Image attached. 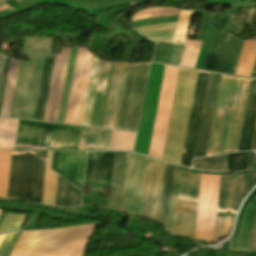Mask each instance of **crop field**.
<instances>
[{"mask_svg": "<svg viewBox=\"0 0 256 256\" xmlns=\"http://www.w3.org/2000/svg\"><path fill=\"white\" fill-rule=\"evenodd\" d=\"M250 81L222 75L206 156L237 151Z\"/></svg>", "mask_w": 256, "mask_h": 256, "instance_id": "crop-field-1", "label": "crop field"}, {"mask_svg": "<svg viewBox=\"0 0 256 256\" xmlns=\"http://www.w3.org/2000/svg\"><path fill=\"white\" fill-rule=\"evenodd\" d=\"M18 120L0 118V149H13ZM80 127L19 120L14 149L75 150ZM33 149H43L34 145Z\"/></svg>", "mask_w": 256, "mask_h": 256, "instance_id": "crop-field-2", "label": "crop field"}, {"mask_svg": "<svg viewBox=\"0 0 256 256\" xmlns=\"http://www.w3.org/2000/svg\"><path fill=\"white\" fill-rule=\"evenodd\" d=\"M197 73L195 70H179L163 160L181 162Z\"/></svg>", "mask_w": 256, "mask_h": 256, "instance_id": "crop-field-3", "label": "crop field"}, {"mask_svg": "<svg viewBox=\"0 0 256 256\" xmlns=\"http://www.w3.org/2000/svg\"><path fill=\"white\" fill-rule=\"evenodd\" d=\"M46 152L12 151L7 198L41 204Z\"/></svg>", "mask_w": 256, "mask_h": 256, "instance_id": "crop-field-4", "label": "crop field"}, {"mask_svg": "<svg viewBox=\"0 0 256 256\" xmlns=\"http://www.w3.org/2000/svg\"><path fill=\"white\" fill-rule=\"evenodd\" d=\"M96 225L36 231L25 256H84Z\"/></svg>", "mask_w": 256, "mask_h": 256, "instance_id": "crop-field-5", "label": "crop field"}, {"mask_svg": "<svg viewBox=\"0 0 256 256\" xmlns=\"http://www.w3.org/2000/svg\"><path fill=\"white\" fill-rule=\"evenodd\" d=\"M200 175L175 171L170 225L171 233L193 238Z\"/></svg>", "mask_w": 256, "mask_h": 256, "instance_id": "crop-field-6", "label": "crop field"}, {"mask_svg": "<svg viewBox=\"0 0 256 256\" xmlns=\"http://www.w3.org/2000/svg\"><path fill=\"white\" fill-rule=\"evenodd\" d=\"M230 18L224 16L216 17L202 70L235 73L244 41L225 32Z\"/></svg>", "mask_w": 256, "mask_h": 256, "instance_id": "crop-field-7", "label": "crop field"}, {"mask_svg": "<svg viewBox=\"0 0 256 256\" xmlns=\"http://www.w3.org/2000/svg\"><path fill=\"white\" fill-rule=\"evenodd\" d=\"M148 67L127 64L115 129L136 131Z\"/></svg>", "mask_w": 256, "mask_h": 256, "instance_id": "crop-field-8", "label": "crop field"}, {"mask_svg": "<svg viewBox=\"0 0 256 256\" xmlns=\"http://www.w3.org/2000/svg\"><path fill=\"white\" fill-rule=\"evenodd\" d=\"M44 60L20 62L10 117L33 119Z\"/></svg>", "mask_w": 256, "mask_h": 256, "instance_id": "crop-field-9", "label": "crop field"}, {"mask_svg": "<svg viewBox=\"0 0 256 256\" xmlns=\"http://www.w3.org/2000/svg\"><path fill=\"white\" fill-rule=\"evenodd\" d=\"M179 68L165 66L148 155L162 157Z\"/></svg>", "mask_w": 256, "mask_h": 256, "instance_id": "crop-field-10", "label": "crop field"}, {"mask_svg": "<svg viewBox=\"0 0 256 256\" xmlns=\"http://www.w3.org/2000/svg\"><path fill=\"white\" fill-rule=\"evenodd\" d=\"M220 176L201 175L194 239L213 242Z\"/></svg>", "mask_w": 256, "mask_h": 256, "instance_id": "crop-field-11", "label": "crop field"}, {"mask_svg": "<svg viewBox=\"0 0 256 256\" xmlns=\"http://www.w3.org/2000/svg\"><path fill=\"white\" fill-rule=\"evenodd\" d=\"M244 176H221L214 242L228 234L242 200Z\"/></svg>", "mask_w": 256, "mask_h": 256, "instance_id": "crop-field-12", "label": "crop field"}, {"mask_svg": "<svg viewBox=\"0 0 256 256\" xmlns=\"http://www.w3.org/2000/svg\"><path fill=\"white\" fill-rule=\"evenodd\" d=\"M92 58L85 48H78L64 123H80Z\"/></svg>", "mask_w": 256, "mask_h": 256, "instance_id": "crop-field-13", "label": "crop field"}, {"mask_svg": "<svg viewBox=\"0 0 256 256\" xmlns=\"http://www.w3.org/2000/svg\"><path fill=\"white\" fill-rule=\"evenodd\" d=\"M146 158L128 154L126 158L121 211L140 216Z\"/></svg>", "mask_w": 256, "mask_h": 256, "instance_id": "crop-field-14", "label": "crop field"}, {"mask_svg": "<svg viewBox=\"0 0 256 256\" xmlns=\"http://www.w3.org/2000/svg\"><path fill=\"white\" fill-rule=\"evenodd\" d=\"M165 163L148 159L146 162L141 216L159 221Z\"/></svg>", "mask_w": 256, "mask_h": 256, "instance_id": "crop-field-15", "label": "crop field"}, {"mask_svg": "<svg viewBox=\"0 0 256 256\" xmlns=\"http://www.w3.org/2000/svg\"><path fill=\"white\" fill-rule=\"evenodd\" d=\"M220 77L221 75L218 74L209 73L208 75L193 158L202 157L206 154Z\"/></svg>", "mask_w": 256, "mask_h": 256, "instance_id": "crop-field-16", "label": "crop field"}, {"mask_svg": "<svg viewBox=\"0 0 256 256\" xmlns=\"http://www.w3.org/2000/svg\"><path fill=\"white\" fill-rule=\"evenodd\" d=\"M208 73L199 71L192 104L182 165L190 167Z\"/></svg>", "mask_w": 256, "mask_h": 256, "instance_id": "crop-field-17", "label": "crop field"}, {"mask_svg": "<svg viewBox=\"0 0 256 256\" xmlns=\"http://www.w3.org/2000/svg\"><path fill=\"white\" fill-rule=\"evenodd\" d=\"M85 152H54L52 169L81 188Z\"/></svg>", "mask_w": 256, "mask_h": 256, "instance_id": "crop-field-18", "label": "crop field"}, {"mask_svg": "<svg viewBox=\"0 0 256 256\" xmlns=\"http://www.w3.org/2000/svg\"><path fill=\"white\" fill-rule=\"evenodd\" d=\"M256 209V189L244 203L237 219L231 249H247Z\"/></svg>", "mask_w": 256, "mask_h": 256, "instance_id": "crop-field-19", "label": "crop field"}, {"mask_svg": "<svg viewBox=\"0 0 256 256\" xmlns=\"http://www.w3.org/2000/svg\"><path fill=\"white\" fill-rule=\"evenodd\" d=\"M114 153L87 152L85 178L111 183Z\"/></svg>", "mask_w": 256, "mask_h": 256, "instance_id": "crop-field-20", "label": "crop field"}, {"mask_svg": "<svg viewBox=\"0 0 256 256\" xmlns=\"http://www.w3.org/2000/svg\"><path fill=\"white\" fill-rule=\"evenodd\" d=\"M256 115V80L252 79L238 151L249 150Z\"/></svg>", "mask_w": 256, "mask_h": 256, "instance_id": "crop-field-21", "label": "crop field"}, {"mask_svg": "<svg viewBox=\"0 0 256 256\" xmlns=\"http://www.w3.org/2000/svg\"><path fill=\"white\" fill-rule=\"evenodd\" d=\"M126 153H115L112 189L108 197V207L120 210Z\"/></svg>", "mask_w": 256, "mask_h": 256, "instance_id": "crop-field-22", "label": "crop field"}, {"mask_svg": "<svg viewBox=\"0 0 256 256\" xmlns=\"http://www.w3.org/2000/svg\"><path fill=\"white\" fill-rule=\"evenodd\" d=\"M110 65L111 63H106V62H102L101 64V69H100V74H99V79H98V84H97L89 126L99 127L100 125V119H101V114L103 109V103H104L107 81H108V76L110 71Z\"/></svg>", "mask_w": 256, "mask_h": 256, "instance_id": "crop-field-23", "label": "crop field"}, {"mask_svg": "<svg viewBox=\"0 0 256 256\" xmlns=\"http://www.w3.org/2000/svg\"><path fill=\"white\" fill-rule=\"evenodd\" d=\"M81 190L58 175L55 205L72 207L78 206Z\"/></svg>", "mask_w": 256, "mask_h": 256, "instance_id": "crop-field-24", "label": "crop field"}, {"mask_svg": "<svg viewBox=\"0 0 256 256\" xmlns=\"http://www.w3.org/2000/svg\"><path fill=\"white\" fill-rule=\"evenodd\" d=\"M108 130L82 127L77 150H104Z\"/></svg>", "mask_w": 256, "mask_h": 256, "instance_id": "crop-field-25", "label": "crop field"}, {"mask_svg": "<svg viewBox=\"0 0 256 256\" xmlns=\"http://www.w3.org/2000/svg\"><path fill=\"white\" fill-rule=\"evenodd\" d=\"M101 62L93 58L80 125L88 126Z\"/></svg>", "mask_w": 256, "mask_h": 256, "instance_id": "crop-field-26", "label": "crop field"}, {"mask_svg": "<svg viewBox=\"0 0 256 256\" xmlns=\"http://www.w3.org/2000/svg\"><path fill=\"white\" fill-rule=\"evenodd\" d=\"M184 46L158 42L152 62L179 65Z\"/></svg>", "mask_w": 256, "mask_h": 256, "instance_id": "crop-field-27", "label": "crop field"}, {"mask_svg": "<svg viewBox=\"0 0 256 256\" xmlns=\"http://www.w3.org/2000/svg\"><path fill=\"white\" fill-rule=\"evenodd\" d=\"M54 56L47 57L45 60L44 70H43V76L37 101V107L35 112L34 119L42 121L44 109H45V103L52 73V67L54 62Z\"/></svg>", "mask_w": 256, "mask_h": 256, "instance_id": "crop-field-28", "label": "crop field"}, {"mask_svg": "<svg viewBox=\"0 0 256 256\" xmlns=\"http://www.w3.org/2000/svg\"><path fill=\"white\" fill-rule=\"evenodd\" d=\"M51 41L52 39H48V38L25 37L23 56H27L31 60H33V59H37V58L49 55Z\"/></svg>", "mask_w": 256, "mask_h": 256, "instance_id": "crop-field-29", "label": "crop field"}, {"mask_svg": "<svg viewBox=\"0 0 256 256\" xmlns=\"http://www.w3.org/2000/svg\"><path fill=\"white\" fill-rule=\"evenodd\" d=\"M173 171L174 166L166 163L160 221L167 228L169 224Z\"/></svg>", "mask_w": 256, "mask_h": 256, "instance_id": "crop-field-30", "label": "crop field"}, {"mask_svg": "<svg viewBox=\"0 0 256 256\" xmlns=\"http://www.w3.org/2000/svg\"><path fill=\"white\" fill-rule=\"evenodd\" d=\"M176 22L138 27V31L152 40L171 42Z\"/></svg>", "mask_w": 256, "mask_h": 256, "instance_id": "crop-field-31", "label": "crop field"}, {"mask_svg": "<svg viewBox=\"0 0 256 256\" xmlns=\"http://www.w3.org/2000/svg\"><path fill=\"white\" fill-rule=\"evenodd\" d=\"M52 152H47L42 204L54 205L57 173L51 170Z\"/></svg>", "mask_w": 256, "mask_h": 256, "instance_id": "crop-field-32", "label": "crop field"}, {"mask_svg": "<svg viewBox=\"0 0 256 256\" xmlns=\"http://www.w3.org/2000/svg\"><path fill=\"white\" fill-rule=\"evenodd\" d=\"M120 63H112L100 127L107 128Z\"/></svg>", "mask_w": 256, "mask_h": 256, "instance_id": "crop-field-33", "label": "crop field"}, {"mask_svg": "<svg viewBox=\"0 0 256 256\" xmlns=\"http://www.w3.org/2000/svg\"><path fill=\"white\" fill-rule=\"evenodd\" d=\"M255 56L256 41H245L235 74L249 77Z\"/></svg>", "mask_w": 256, "mask_h": 256, "instance_id": "crop-field-34", "label": "crop field"}, {"mask_svg": "<svg viewBox=\"0 0 256 256\" xmlns=\"http://www.w3.org/2000/svg\"><path fill=\"white\" fill-rule=\"evenodd\" d=\"M77 48H71L57 122L63 123Z\"/></svg>", "mask_w": 256, "mask_h": 256, "instance_id": "crop-field-35", "label": "crop field"}, {"mask_svg": "<svg viewBox=\"0 0 256 256\" xmlns=\"http://www.w3.org/2000/svg\"><path fill=\"white\" fill-rule=\"evenodd\" d=\"M135 133L113 131L109 150L132 151Z\"/></svg>", "mask_w": 256, "mask_h": 256, "instance_id": "crop-field-36", "label": "crop field"}, {"mask_svg": "<svg viewBox=\"0 0 256 256\" xmlns=\"http://www.w3.org/2000/svg\"><path fill=\"white\" fill-rule=\"evenodd\" d=\"M193 11H181L172 43L185 44Z\"/></svg>", "mask_w": 256, "mask_h": 256, "instance_id": "crop-field-37", "label": "crop field"}, {"mask_svg": "<svg viewBox=\"0 0 256 256\" xmlns=\"http://www.w3.org/2000/svg\"><path fill=\"white\" fill-rule=\"evenodd\" d=\"M179 12L177 8H169V7H156L149 8L135 13L132 18V21H137L146 18L152 17H166V16H176Z\"/></svg>", "mask_w": 256, "mask_h": 256, "instance_id": "crop-field-38", "label": "crop field"}, {"mask_svg": "<svg viewBox=\"0 0 256 256\" xmlns=\"http://www.w3.org/2000/svg\"><path fill=\"white\" fill-rule=\"evenodd\" d=\"M193 167L206 170H227L226 155L195 159Z\"/></svg>", "mask_w": 256, "mask_h": 256, "instance_id": "crop-field-39", "label": "crop field"}, {"mask_svg": "<svg viewBox=\"0 0 256 256\" xmlns=\"http://www.w3.org/2000/svg\"><path fill=\"white\" fill-rule=\"evenodd\" d=\"M11 151H0V197L6 198Z\"/></svg>", "mask_w": 256, "mask_h": 256, "instance_id": "crop-field-40", "label": "crop field"}, {"mask_svg": "<svg viewBox=\"0 0 256 256\" xmlns=\"http://www.w3.org/2000/svg\"><path fill=\"white\" fill-rule=\"evenodd\" d=\"M201 43L202 42L198 41H187L185 52L180 66L191 68L195 67Z\"/></svg>", "mask_w": 256, "mask_h": 256, "instance_id": "crop-field-41", "label": "crop field"}, {"mask_svg": "<svg viewBox=\"0 0 256 256\" xmlns=\"http://www.w3.org/2000/svg\"><path fill=\"white\" fill-rule=\"evenodd\" d=\"M126 64L121 63L108 128L114 129Z\"/></svg>", "mask_w": 256, "mask_h": 256, "instance_id": "crop-field-42", "label": "crop field"}, {"mask_svg": "<svg viewBox=\"0 0 256 256\" xmlns=\"http://www.w3.org/2000/svg\"><path fill=\"white\" fill-rule=\"evenodd\" d=\"M26 215L8 214L0 225V234L19 230Z\"/></svg>", "mask_w": 256, "mask_h": 256, "instance_id": "crop-field-43", "label": "crop field"}, {"mask_svg": "<svg viewBox=\"0 0 256 256\" xmlns=\"http://www.w3.org/2000/svg\"><path fill=\"white\" fill-rule=\"evenodd\" d=\"M35 231L22 232L9 256H24Z\"/></svg>", "mask_w": 256, "mask_h": 256, "instance_id": "crop-field-44", "label": "crop field"}, {"mask_svg": "<svg viewBox=\"0 0 256 256\" xmlns=\"http://www.w3.org/2000/svg\"><path fill=\"white\" fill-rule=\"evenodd\" d=\"M228 170L246 169L244 153L227 155Z\"/></svg>", "mask_w": 256, "mask_h": 256, "instance_id": "crop-field-45", "label": "crop field"}, {"mask_svg": "<svg viewBox=\"0 0 256 256\" xmlns=\"http://www.w3.org/2000/svg\"><path fill=\"white\" fill-rule=\"evenodd\" d=\"M17 234H18V232L6 234L2 244L0 246V256H5L6 255L10 246L12 245L14 239L16 238Z\"/></svg>", "mask_w": 256, "mask_h": 256, "instance_id": "crop-field-46", "label": "crop field"}, {"mask_svg": "<svg viewBox=\"0 0 256 256\" xmlns=\"http://www.w3.org/2000/svg\"><path fill=\"white\" fill-rule=\"evenodd\" d=\"M9 61H10V58H6L5 65H4V71H3V76H2V81H1V87H0V108H1V103H2V97H3L6 77H7Z\"/></svg>", "mask_w": 256, "mask_h": 256, "instance_id": "crop-field-47", "label": "crop field"}, {"mask_svg": "<svg viewBox=\"0 0 256 256\" xmlns=\"http://www.w3.org/2000/svg\"><path fill=\"white\" fill-rule=\"evenodd\" d=\"M256 183V172L246 174V186H245V194L253 187V185Z\"/></svg>", "mask_w": 256, "mask_h": 256, "instance_id": "crop-field-48", "label": "crop field"}, {"mask_svg": "<svg viewBox=\"0 0 256 256\" xmlns=\"http://www.w3.org/2000/svg\"><path fill=\"white\" fill-rule=\"evenodd\" d=\"M248 249H256V214H255V219H254V223H253V228H252V233H251V238H250Z\"/></svg>", "mask_w": 256, "mask_h": 256, "instance_id": "crop-field-49", "label": "crop field"}, {"mask_svg": "<svg viewBox=\"0 0 256 256\" xmlns=\"http://www.w3.org/2000/svg\"><path fill=\"white\" fill-rule=\"evenodd\" d=\"M252 149H256V123H255V128H254V133H253V138H252V143H251V148Z\"/></svg>", "mask_w": 256, "mask_h": 256, "instance_id": "crop-field-50", "label": "crop field"}, {"mask_svg": "<svg viewBox=\"0 0 256 256\" xmlns=\"http://www.w3.org/2000/svg\"><path fill=\"white\" fill-rule=\"evenodd\" d=\"M250 77L256 78V59Z\"/></svg>", "mask_w": 256, "mask_h": 256, "instance_id": "crop-field-51", "label": "crop field"}, {"mask_svg": "<svg viewBox=\"0 0 256 256\" xmlns=\"http://www.w3.org/2000/svg\"><path fill=\"white\" fill-rule=\"evenodd\" d=\"M112 131L109 130L105 150H108Z\"/></svg>", "mask_w": 256, "mask_h": 256, "instance_id": "crop-field-52", "label": "crop field"}, {"mask_svg": "<svg viewBox=\"0 0 256 256\" xmlns=\"http://www.w3.org/2000/svg\"><path fill=\"white\" fill-rule=\"evenodd\" d=\"M4 236H5V234H4V235H0V244H1V242H2V240H3V238H4Z\"/></svg>", "mask_w": 256, "mask_h": 256, "instance_id": "crop-field-53", "label": "crop field"}, {"mask_svg": "<svg viewBox=\"0 0 256 256\" xmlns=\"http://www.w3.org/2000/svg\"><path fill=\"white\" fill-rule=\"evenodd\" d=\"M5 2H6V0H0V4H3Z\"/></svg>", "mask_w": 256, "mask_h": 256, "instance_id": "crop-field-54", "label": "crop field"}, {"mask_svg": "<svg viewBox=\"0 0 256 256\" xmlns=\"http://www.w3.org/2000/svg\"><path fill=\"white\" fill-rule=\"evenodd\" d=\"M2 71H3V69H2ZM1 76H2V72H1V75H0V81H1Z\"/></svg>", "mask_w": 256, "mask_h": 256, "instance_id": "crop-field-55", "label": "crop field"}, {"mask_svg": "<svg viewBox=\"0 0 256 256\" xmlns=\"http://www.w3.org/2000/svg\"><path fill=\"white\" fill-rule=\"evenodd\" d=\"M21 1H22V0H18L17 2H19V3H20Z\"/></svg>", "mask_w": 256, "mask_h": 256, "instance_id": "crop-field-56", "label": "crop field"}, {"mask_svg": "<svg viewBox=\"0 0 256 256\" xmlns=\"http://www.w3.org/2000/svg\"><path fill=\"white\" fill-rule=\"evenodd\" d=\"M2 209H0V212H1Z\"/></svg>", "mask_w": 256, "mask_h": 256, "instance_id": "crop-field-57", "label": "crop field"}]
</instances>
